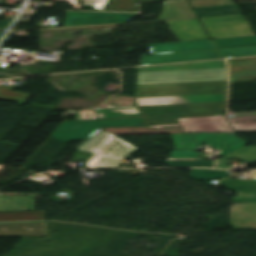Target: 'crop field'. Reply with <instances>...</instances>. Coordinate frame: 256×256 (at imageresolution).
I'll return each mask as SVG.
<instances>
[{
	"mask_svg": "<svg viewBox=\"0 0 256 256\" xmlns=\"http://www.w3.org/2000/svg\"><path fill=\"white\" fill-rule=\"evenodd\" d=\"M222 60L139 68L135 98L161 96L160 88L225 84Z\"/></svg>",
	"mask_w": 256,
	"mask_h": 256,
	"instance_id": "8a807250",
	"label": "crop field"
},
{
	"mask_svg": "<svg viewBox=\"0 0 256 256\" xmlns=\"http://www.w3.org/2000/svg\"><path fill=\"white\" fill-rule=\"evenodd\" d=\"M176 149H193V151H172L168 160H196L199 154L194 151L204 144L222 152L223 157L250 143L235 136L234 133L171 134Z\"/></svg>",
	"mask_w": 256,
	"mask_h": 256,
	"instance_id": "ac0d7876",
	"label": "crop field"
},
{
	"mask_svg": "<svg viewBox=\"0 0 256 256\" xmlns=\"http://www.w3.org/2000/svg\"><path fill=\"white\" fill-rule=\"evenodd\" d=\"M143 125L180 124L178 118L224 115L225 102L139 107Z\"/></svg>",
	"mask_w": 256,
	"mask_h": 256,
	"instance_id": "34b2d1b8",
	"label": "crop field"
},
{
	"mask_svg": "<svg viewBox=\"0 0 256 256\" xmlns=\"http://www.w3.org/2000/svg\"><path fill=\"white\" fill-rule=\"evenodd\" d=\"M77 150L95 153L89 163L92 168L118 167L137 148L121 138L101 131L82 144Z\"/></svg>",
	"mask_w": 256,
	"mask_h": 256,
	"instance_id": "412701ff",
	"label": "crop field"
},
{
	"mask_svg": "<svg viewBox=\"0 0 256 256\" xmlns=\"http://www.w3.org/2000/svg\"><path fill=\"white\" fill-rule=\"evenodd\" d=\"M142 117L63 121L51 135L58 141L87 140L101 128L141 126Z\"/></svg>",
	"mask_w": 256,
	"mask_h": 256,
	"instance_id": "f4fd0767",
	"label": "crop field"
},
{
	"mask_svg": "<svg viewBox=\"0 0 256 256\" xmlns=\"http://www.w3.org/2000/svg\"><path fill=\"white\" fill-rule=\"evenodd\" d=\"M212 39L253 35L248 21L243 16L200 18Z\"/></svg>",
	"mask_w": 256,
	"mask_h": 256,
	"instance_id": "dd49c442",
	"label": "crop field"
},
{
	"mask_svg": "<svg viewBox=\"0 0 256 256\" xmlns=\"http://www.w3.org/2000/svg\"><path fill=\"white\" fill-rule=\"evenodd\" d=\"M137 14L67 12L63 27L127 22Z\"/></svg>",
	"mask_w": 256,
	"mask_h": 256,
	"instance_id": "e52e79f7",
	"label": "crop field"
},
{
	"mask_svg": "<svg viewBox=\"0 0 256 256\" xmlns=\"http://www.w3.org/2000/svg\"><path fill=\"white\" fill-rule=\"evenodd\" d=\"M185 133L202 132H232L231 127L224 120L223 116L179 119ZM178 126V125H171ZM161 127V126H152Z\"/></svg>",
	"mask_w": 256,
	"mask_h": 256,
	"instance_id": "d8731c3e",
	"label": "crop field"
},
{
	"mask_svg": "<svg viewBox=\"0 0 256 256\" xmlns=\"http://www.w3.org/2000/svg\"><path fill=\"white\" fill-rule=\"evenodd\" d=\"M220 59L216 50L142 56L140 65Z\"/></svg>",
	"mask_w": 256,
	"mask_h": 256,
	"instance_id": "5a996713",
	"label": "crop field"
},
{
	"mask_svg": "<svg viewBox=\"0 0 256 256\" xmlns=\"http://www.w3.org/2000/svg\"><path fill=\"white\" fill-rule=\"evenodd\" d=\"M0 236H46V221L0 222Z\"/></svg>",
	"mask_w": 256,
	"mask_h": 256,
	"instance_id": "3316defc",
	"label": "crop field"
},
{
	"mask_svg": "<svg viewBox=\"0 0 256 256\" xmlns=\"http://www.w3.org/2000/svg\"><path fill=\"white\" fill-rule=\"evenodd\" d=\"M178 41L209 39L198 19L165 21Z\"/></svg>",
	"mask_w": 256,
	"mask_h": 256,
	"instance_id": "28ad6ade",
	"label": "crop field"
},
{
	"mask_svg": "<svg viewBox=\"0 0 256 256\" xmlns=\"http://www.w3.org/2000/svg\"><path fill=\"white\" fill-rule=\"evenodd\" d=\"M139 106L224 101V94L172 96L136 99Z\"/></svg>",
	"mask_w": 256,
	"mask_h": 256,
	"instance_id": "d1516ede",
	"label": "crop field"
},
{
	"mask_svg": "<svg viewBox=\"0 0 256 256\" xmlns=\"http://www.w3.org/2000/svg\"><path fill=\"white\" fill-rule=\"evenodd\" d=\"M150 52L154 54L160 53H176L190 52L206 49H214L210 40L183 41L174 43L148 44Z\"/></svg>",
	"mask_w": 256,
	"mask_h": 256,
	"instance_id": "22f410ed",
	"label": "crop field"
},
{
	"mask_svg": "<svg viewBox=\"0 0 256 256\" xmlns=\"http://www.w3.org/2000/svg\"><path fill=\"white\" fill-rule=\"evenodd\" d=\"M230 82L256 80V57L227 60Z\"/></svg>",
	"mask_w": 256,
	"mask_h": 256,
	"instance_id": "cbeb9de0",
	"label": "crop field"
},
{
	"mask_svg": "<svg viewBox=\"0 0 256 256\" xmlns=\"http://www.w3.org/2000/svg\"><path fill=\"white\" fill-rule=\"evenodd\" d=\"M230 225L256 229V203L236 204L231 207Z\"/></svg>",
	"mask_w": 256,
	"mask_h": 256,
	"instance_id": "5142ce71",
	"label": "crop field"
},
{
	"mask_svg": "<svg viewBox=\"0 0 256 256\" xmlns=\"http://www.w3.org/2000/svg\"><path fill=\"white\" fill-rule=\"evenodd\" d=\"M219 186H226L236 191L238 196L231 198L235 203L256 202V179L251 181H234L232 179L219 182Z\"/></svg>",
	"mask_w": 256,
	"mask_h": 256,
	"instance_id": "d9b57169",
	"label": "crop field"
},
{
	"mask_svg": "<svg viewBox=\"0 0 256 256\" xmlns=\"http://www.w3.org/2000/svg\"><path fill=\"white\" fill-rule=\"evenodd\" d=\"M196 18L187 0L164 2L163 12L156 21L170 19Z\"/></svg>",
	"mask_w": 256,
	"mask_h": 256,
	"instance_id": "733c2abd",
	"label": "crop field"
},
{
	"mask_svg": "<svg viewBox=\"0 0 256 256\" xmlns=\"http://www.w3.org/2000/svg\"><path fill=\"white\" fill-rule=\"evenodd\" d=\"M34 210V196L0 195V211Z\"/></svg>",
	"mask_w": 256,
	"mask_h": 256,
	"instance_id": "4a817a6b",
	"label": "crop field"
},
{
	"mask_svg": "<svg viewBox=\"0 0 256 256\" xmlns=\"http://www.w3.org/2000/svg\"><path fill=\"white\" fill-rule=\"evenodd\" d=\"M162 96L225 93V85L161 89Z\"/></svg>",
	"mask_w": 256,
	"mask_h": 256,
	"instance_id": "bc2a9ffb",
	"label": "crop field"
},
{
	"mask_svg": "<svg viewBox=\"0 0 256 256\" xmlns=\"http://www.w3.org/2000/svg\"><path fill=\"white\" fill-rule=\"evenodd\" d=\"M235 118H227L236 132H256V112L231 114Z\"/></svg>",
	"mask_w": 256,
	"mask_h": 256,
	"instance_id": "214f88e0",
	"label": "crop field"
},
{
	"mask_svg": "<svg viewBox=\"0 0 256 256\" xmlns=\"http://www.w3.org/2000/svg\"><path fill=\"white\" fill-rule=\"evenodd\" d=\"M198 17L240 15L241 12L236 4L209 8L194 9Z\"/></svg>",
	"mask_w": 256,
	"mask_h": 256,
	"instance_id": "92a150f3",
	"label": "crop field"
},
{
	"mask_svg": "<svg viewBox=\"0 0 256 256\" xmlns=\"http://www.w3.org/2000/svg\"><path fill=\"white\" fill-rule=\"evenodd\" d=\"M97 118L142 116L138 107L105 108L96 110Z\"/></svg>",
	"mask_w": 256,
	"mask_h": 256,
	"instance_id": "dafd665d",
	"label": "crop field"
},
{
	"mask_svg": "<svg viewBox=\"0 0 256 256\" xmlns=\"http://www.w3.org/2000/svg\"><path fill=\"white\" fill-rule=\"evenodd\" d=\"M230 158H237L240 160L251 162L252 160L256 159V146L244 147L227 155L226 157L218 160L215 167L219 169L227 168V159Z\"/></svg>",
	"mask_w": 256,
	"mask_h": 256,
	"instance_id": "00972430",
	"label": "crop field"
},
{
	"mask_svg": "<svg viewBox=\"0 0 256 256\" xmlns=\"http://www.w3.org/2000/svg\"><path fill=\"white\" fill-rule=\"evenodd\" d=\"M215 45L220 48L256 46V36L214 39Z\"/></svg>",
	"mask_w": 256,
	"mask_h": 256,
	"instance_id": "a9b5d70f",
	"label": "crop field"
},
{
	"mask_svg": "<svg viewBox=\"0 0 256 256\" xmlns=\"http://www.w3.org/2000/svg\"><path fill=\"white\" fill-rule=\"evenodd\" d=\"M26 219L45 220L44 211L0 212V221Z\"/></svg>",
	"mask_w": 256,
	"mask_h": 256,
	"instance_id": "4177f3b9",
	"label": "crop field"
},
{
	"mask_svg": "<svg viewBox=\"0 0 256 256\" xmlns=\"http://www.w3.org/2000/svg\"><path fill=\"white\" fill-rule=\"evenodd\" d=\"M14 87L0 85V100L19 102L18 105H24L29 94L12 91Z\"/></svg>",
	"mask_w": 256,
	"mask_h": 256,
	"instance_id": "730fd06b",
	"label": "crop field"
},
{
	"mask_svg": "<svg viewBox=\"0 0 256 256\" xmlns=\"http://www.w3.org/2000/svg\"><path fill=\"white\" fill-rule=\"evenodd\" d=\"M229 172L218 170L192 169L191 178L202 181L227 178Z\"/></svg>",
	"mask_w": 256,
	"mask_h": 256,
	"instance_id": "eef30255",
	"label": "crop field"
},
{
	"mask_svg": "<svg viewBox=\"0 0 256 256\" xmlns=\"http://www.w3.org/2000/svg\"><path fill=\"white\" fill-rule=\"evenodd\" d=\"M219 51L224 58L256 56V47L229 48Z\"/></svg>",
	"mask_w": 256,
	"mask_h": 256,
	"instance_id": "ae1a2a85",
	"label": "crop field"
},
{
	"mask_svg": "<svg viewBox=\"0 0 256 256\" xmlns=\"http://www.w3.org/2000/svg\"><path fill=\"white\" fill-rule=\"evenodd\" d=\"M215 161H165L171 167H212Z\"/></svg>",
	"mask_w": 256,
	"mask_h": 256,
	"instance_id": "d3111659",
	"label": "crop field"
},
{
	"mask_svg": "<svg viewBox=\"0 0 256 256\" xmlns=\"http://www.w3.org/2000/svg\"><path fill=\"white\" fill-rule=\"evenodd\" d=\"M158 1H169V0H138L139 3L158 2Z\"/></svg>",
	"mask_w": 256,
	"mask_h": 256,
	"instance_id": "750c4746",
	"label": "crop field"
},
{
	"mask_svg": "<svg viewBox=\"0 0 256 256\" xmlns=\"http://www.w3.org/2000/svg\"><path fill=\"white\" fill-rule=\"evenodd\" d=\"M9 23H10V21L0 22V28L8 27Z\"/></svg>",
	"mask_w": 256,
	"mask_h": 256,
	"instance_id": "bd1437ed",
	"label": "crop field"
},
{
	"mask_svg": "<svg viewBox=\"0 0 256 256\" xmlns=\"http://www.w3.org/2000/svg\"><path fill=\"white\" fill-rule=\"evenodd\" d=\"M92 164H87L85 168H91Z\"/></svg>",
	"mask_w": 256,
	"mask_h": 256,
	"instance_id": "1d83c4d3",
	"label": "crop field"
},
{
	"mask_svg": "<svg viewBox=\"0 0 256 256\" xmlns=\"http://www.w3.org/2000/svg\"><path fill=\"white\" fill-rule=\"evenodd\" d=\"M2 33H0V35H1Z\"/></svg>",
	"mask_w": 256,
	"mask_h": 256,
	"instance_id": "120bbe31",
	"label": "crop field"
}]
</instances>
